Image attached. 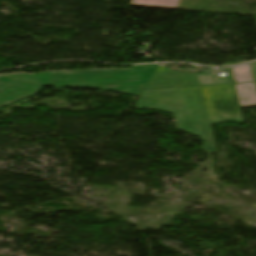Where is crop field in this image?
I'll use <instances>...</instances> for the list:
<instances>
[{
  "instance_id": "e52e79f7",
  "label": "crop field",
  "mask_w": 256,
  "mask_h": 256,
  "mask_svg": "<svg viewBox=\"0 0 256 256\" xmlns=\"http://www.w3.org/2000/svg\"><path fill=\"white\" fill-rule=\"evenodd\" d=\"M54 73L55 72H42L33 75L27 73L0 75V88L19 83L21 81L44 85Z\"/></svg>"
},
{
  "instance_id": "d8731c3e",
  "label": "crop field",
  "mask_w": 256,
  "mask_h": 256,
  "mask_svg": "<svg viewBox=\"0 0 256 256\" xmlns=\"http://www.w3.org/2000/svg\"><path fill=\"white\" fill-rule=\"evenodd\" d=\"M179 0H132L130 5L176 9Z\"/></svg>"
},
{
  "instance_id": "412701ff",
  "label": "crop field",
  "mask_w": 256,
  "mask_h": 256,
  "mask_svg": "<svg viewBox=\"0 0 256 256\" xmlns=\"http://www.w3.org/2000/svg\"><path fill=\"white\" fill-rule=\"evenodd\" d=\"M199 85L197 74L181 73L158 65L145 89Z\"/></svg>"
},
{
  "instance_id": "dd49c442",
  "label": "crop field",
  "mask_w": 256,
  "mask_h": 256,
  "mask_svg": "<svg viewBox=\"0 0 256 256\" xmlns=\"http://www.w3.org/2000/svg\"><path fill=\"white\" fill-rule=\"evenodd\" d=\"M42 86L18 84L0 91V107L39 93Z\"/></svg>"
},
{
  "instance_id": "8a807250",
  "label": "crop field",
  "mask_w": 256,
  "mask_h": 256,
  "mask_svg": "<svg viewBox=\"0 0 256 256\" xmlns=\"http://www.w3.org/2000/svg\"><path fill=\"white\" fill-rule=\"evenodd\" d=\"M137 108L174 112L180 129L202 138L207 152H216L200 87L143 91Z\"/></svg>"
},
{
  "instance_id": "f4fd0767",
  "label": "crop field",
  "mask_w": 256,
  "mask_h": 256,
  "mask_svg": "<svg viewBox=\"0 0 256 256\" xmlns=\"http://www.w3.org/2000/svg\"><path fill=\"white\" fill-rule=\"evenodd\" d=\"M241 108L256 107V87L249 63L231 68Z\"/></svg>"
},
{
  "instance_id": "ac0d7876",
  "label": "crop field",
  "mask_w": 256,
  "mask_h": 256,
  "mask_svg": "<svg viewBox=\"0 0 256 256\" xmlns=\"http://www.w3.org/2000/svg\"><path fill=\"white\" fill-rule=\"evenodd\" d=\"M157 65L134 68L56 72L46 85L81 87L139 95Z\"/></svg>"
},
{
  "instance_id": "34b2d1b8",
  "label": "crop field",
  "mask_w": 256,
  "mask_h": 256,
  "mask_svg": "<svg viewBox=\"0 0 256 256\" xmlns=\"http://www.w3.org/2000/svg\"><path fill=\"white\" fill-rule=\"evenodd\" d=\"M210 123L244 124L234 84L201 86Z\"/></svg>"
}]
</instances>
